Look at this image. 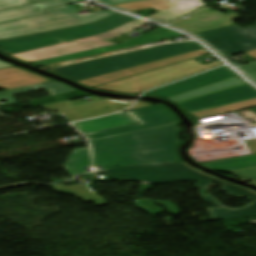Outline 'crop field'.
Returning a JSON list of instances; mask_svg holds the SVG:
<instances>
[{
	"label": "crop field",
	"instance_id": "11",
	"mask_svg": "<svg viewBox=\"0 0 256 256\" xmlns=\"http://www.w3.org/2000/svg\"><path fill=\"white\" fill-rule=\"evenodd\" d=\"M207 53H209V52L205 49L199 50V51H194V52L178 55V56H175L172 58H168V59H164V60H160V61H156V62H152V63H148V64H144V65H140V66H136V67H132V68H128V69H124V70H120V71H116V72H112V73H108V74H104V75H100V76H97L94 78L78 81L77 83H79L83 86L92 88V87L110 83V82H113L116 80H120L123 78L141 74L144 72H148V71H151L154 69L172 65V64H175L178 62H182V61H185L190 58H196V57H199V56L207 54Z\"/></svg>",
	"mask_w": 256,
	"mask_h": 256
},
{
	"label": "crop field",
	"instance_id": "38",
	"mask_svg": "<svg viewBox=\"0 0 256 256\" xmlns=\"http://www.w3.org/2000/svg\"><path fill=\"white\" fill-rule=\"evenodd\" d=\"M248 75H250L253 79L256 80V71L248 73Z\"/></svg>",
	"mask_w": 256,
	"mask_h": 256
},
{
	"label": "crop field",
	"instance_id": "24",
	"mask_svg": "<svg viewBox=\"0 0 256 256\" xmlns=\"http://www.w3.org/2000/svg\"><path fill=\"white\" fill-rule=\"evenodd\" d=\"M52 81L51 79L45 78L43 76L37 75L35 73L17 76L13 78H8L0 80V89L5 88L7 90L24 87L28 85L38 84L42 82Z\"/></svg>",
	"mask_w": 256,
	"mask_h": 256
},
{
	"label": "crop field",
	"instance_id": "16",
	"mask_svg": "<svg viewBox=\"0 0 256 256\" xmlns=\"http://www.w3.org/2000/svg\"><path fill=\"white\" fill-rule=\"evenodd\" d=\"M237 19L236 13L224 15L210 9L193 14L172 25L188 30L192 33L234 25L231 21Z\"/></svg>",
	"mask_w": 256,
	"mask_h": 256
},
{
	"label": "crop field",
	"instance_id": "35",
	"mask_svg": "<svg viewBox=\"0 0 256 256\" xmlns=\"http://www.w3.org/2000/svg\"><path fill=\"white\" fill-rule=\"evenodd\" d=\"M244 53L256 59V49Z\"/></svg>",
	"mask_w": 256,
	"mask_h": 256
},
{
	"label": "crop field",
	"instance_id": "30",
	"mask_svg": "<svg viewBox=\"0 0 256 256\" xmlns=\"http://www.w3.org/2000/svg\"><path fill=\"white\" fill-rule=\"evenodd\" d=\"M155 203L164 205L165 207H167L170 210V212H173L174 214L178 213V209L176 207H174V205L170 204V202H168V201L155 202Z\"/></svg>",
	"mask_w": 256,
	"mask_h": 256
},
{
	"label": "crop field",
	"instance_id": "33",
	"mask_svg": "<svg viewBox=\"0 0 256 256\" xmlns=\"http://www.w3.org/2000/svg\"><path fill=\"white\" fill-rule=\"evenodd\" d=\"M145 106H150V105L147 103H144V102H140V103L134 105L133 107H131L130 109H135V108H140V107H145ZM130 109H128V110H130Z\"/></svg>",
	"mask_w": 256,
	"mask_h": 256
},
{
	"label": "crop field",
	"instance_id": "39",
	"mask_svg": "<svg viewBox=\"0 0 256 256\" xmlns=\"http://www.w3.org/2000/svg\"><path fill=\"white\" fill-rule=\"evenodd\" d=\"M168 1H170V2H171V1H173V0H168Z\"/></svg>",
	"mask_w": 256,
	"mask_h": 256
},
{
	"label": "crop field",
	"instance_id": "37",
	"mask_svg": "<svg viewBox=\"0 0 256 256\" xmlns=\"http://www.w3.org/2000/svg\"><path fill=\"white\" fill-rule=\"evenodd\" d=\"M207 7H209L208 5H205V6H203V7H201V8H199V9H203V8H207ZM199 9H197V10H199ZM197 10H195V11H197ZM195 11H193V12H195ZM192 13V12H191ZM190 15V14H189ZM186 16V15H185ZM184 17V16H183ZM180 18H182V17H180ZM180 18H178V19H180ZM178 19H175V20H173V21H176V20H178ZM173 21H170V22H173ZM170 22H168V23H170Z\"/></svg>",
	"mask_w": 256,
	"mask_h": 256
},
{
	"label": "crop field",
	"instance_id": "5",
	"mask_svg": "<svg viewBox=\"0 0 256 256\" xmlns=\"http://www.w3.org/2000/svg\"><path fill=\"white\" fill-rule=\"evenodd\" d=\"M134 19L135 18L125 15L116 14L93 24L67 28L37 35L2 40L0 41V46H8L0 48V52L5 55H10L35 48L61 43V41L55 40L51 37H57L61 40H74L102 32H107L113 28L129 23Z\"/></svg>",
	"mask_w": 256,
	"mask_h": 256
},
{
	"label": "crop field",
	"instance_id": "9",
	"mask_svg": "<svg viewBox=\"0 0 256 256\" xmlns=\"http://www.w3.org/2000/svg\"><path fill=\"white\" fill-rule=\"evenodd\" d=\"M126 112L129 115H131L134 119H136L140 124L126 125L122 127L85 134L88 141L116 136L132 131L162 126L166 124L178 123L174 114L162 104L130 110Z\"/></svg>",
	"mask_w": 256,
	"mask_h": 256
},
{
	"label": "crop field",
	"instance_id": "27",
	"mask_svg": "<svg viewBox=\"0 0 256 256\" xmlns=\"http://www.w3.org/2000/svg\"><path fill=\"white\" fill-rule=\"evenodd\" d=\"M44 0H0V10L26 5V4H32L36 2H40Z\"/></svg>",
	"mask_w": 256,
	"mask_h": 256
},
{
	"label": "crop field",
	"instance_id": "22",
	"mask_svg": "<svg viewBox=\"0 0 256 256\" xmlns=\"http://www.w3.org/2000/svg\"><path fill=\"white\" fill-rule=\"evenodd\" d=\"M91 164L87 148L75 149L69 156L65 168L73 178L79 174L86 173L84 167Z\"/></svg>",
	"mask_w": 256,
	"mask_h": 256
},
{
	"label": "crop field",
	"instance_id": "12",
	"mask_svg": "<svg viewBox=\"0 0 256 256\" xmlns=\"http://www.w3.org/2000/svg\"><path fill=\"white\" fill-rule=\"evenodd\" d=\"M254 97H256V89L246 84L186 102L178 103V105H180L186 112L190 113Z\"/></svg>",
	"mask_w": 256,
	"mask_h": 256
},
{
	"label": "crop field",
	"instance_id": "17",
	"mask_svg": "<svg viewBox=\"0 0 256 256\" xmlns=\"http://www.w3.org/2000/svg\"><path fill=\"white\" fill-rule=\"evenodd\" d=\"M83 0H49L37 4L0 11V23L47 13L43 9L63 6Z\"/></svg>",
	"mask_w": 256,
	"mask_h": 256
},
{
	"label": "crop field",
	"instance_id": "25",
	"mask_svg": "<svg viewBox=\"0 0 256 256\" xmlns=\"http://www.w3.org/2000/svg\"><path fill=\"white\" fill-rule=\"evenodd\" d=\"M252 106H256V98L234 103V104H229L225 106H220V107H215L211 109L190 113V115L195 117L196 119H200V118H206V117H210V116H214V115H218V114H222V113H226V112H230L238 109H243L247 107H252Z\"/></svg>",
	"mask_w": 256,
	"mask_h": 256
},
{
	"label": "crop field",
	"instance_id": "31",
	"mask_svg": "<svg viewBox=\"0 0 256 256\" xmlns=\"http://www.w3.org/2000/svg\"><path fill=\"white\" fill-rule=\"evenodd\" d=\"M240 69H242L246 73L254 71V70H256V63L240 67Z\"/></svg>",
	"mask_w": 256,
	"mask_h": 256
},
{
	"label": "crop field",
	"instance_id": "32",
	"mask_svg": "<svg viewBox=\"0 0 256 256\" xmlns=\"http://www.w3.org/2000/svg\"><path fill=\"white\" fill-rule=\"evenodd\" d=\"M101 1L108 3L110 5H114L118 3L130 2V1H136V0H101Z\"/></svg>",
	"mask_w": 256,
	"mask_h": 256
},
{
	"label": "crop field",
	"instance_id": "28",
	"mask_svg": "<svg viewBox=\"0 0 256 256\" xmlns=\"http://www.w3.org/2000/svg\"><path fill=\"white\" fill-rule=\"evenodd\" d=\"M27 73H31V72L15 66L7 67V68L0 69V79L27 74Z\"/></svg>",
	"mask_w": 256,
	"mask_h": 256
},
{
	"label": "crop field",
	"instance_id": "13",
	"mask_svg": "<svg viewBox=\"0 0 256 256\" xmlns=\"http://www.w3.org/2000/svg\"><path fill=\"white\" fill-rule=\"evenodd\" d=\"M233 76H236V74L227 67H222L217 70L192 77L182 82L154 90L144 94L143 96H154L160 99H165L221 80L231 78Z\"/></svg>",
	"mask_w": 256,
	"mask_h": 256
},
{
	"label": "crop field",
	"instance_id": "15",
	"mask_svg": "<svg viewBox=\"0 0 256 256\" xmlns=\"http://www.w3.org/2000/svg\"><path fill=\"white\" fill-rule=\"evenodd\" d=\"M216 182L222 184V186H224L223 190L227 191L228 193L234 196L247 195L248 198L254 201L243 209L231 210L223 207L210 195L202 197L205 201L212 202L213 204H215L216 206H220L221 208H209L208 210L212 219L200 220V222L256 215V193L225 181L218 180Z\"/></svg>",
	"mask_w": 256,
	"mask_h": 256
},
{
	"label": "crop field",
	"instance_id": "8",
	"mask_svg": "<svg viewBox=\"0 0 256 256\" xmlns=\"http://www.w3.org/2000/svg\"><path fill=\"white\" fill-rule=\"evenodd\" d=\"M196 35L227 57L256 48V26L241 29L234 25Z\"/></svg>",
	"mask_w": 256,
	"mask_h": 256
},
{
	"label": "crop field",
	"instance_id": "40",
	"mask_svg": "<svg viewBox=\"0 0 256 256\" xmlns=\"http://www.w3.org/2000/svg\"><path fill=\"white\" fill-rule=\"evenodd\" d=\"M254 225H256V223H254Z\"/></svg>",
	"mask_w": 256,
	"mask_h": 256
},
{
	"label": "crop field",
	"instance_id": "34",
	"mask_svg": "<svg viewBox=\"0 0 256 256\" xmlns=\"http://www.w3.org/2000/svg\"><path fill=\"white\" fill-rule=\"evenodd\" d=\"M149 188H150V184L142 182L140 193L149 189Z\"/></svg>",
	"mask_w": 256,
	"mask_h": 256
},
{
	"label": "crop field",
	"instance_id": "19",
	"mask_svg": "<svg viewBox=\"0 0 256 256\" xmlns=\"http://www.w3.org/2000/svg\"><path fill=\"white\" fill-rule=\"evenodd\" d=\"M242 84H246V83L244 81L240 80L238 76H236L234 78H231V79H228V80H225L222 82H218V83H215V84H212V85H209V86H206V87H203V88H200V89L188 92V93H184V94L172 97V98H168L165 100H169L173 103H178V102L186 101V100L193 99L196 97H200L203 95H207L210 93H214L217 91H221V90H225V89L232 88L235 86H239Z\"/></svg>",
	"mask_w": 256,
	"mask_h": 256
},
{
	"label": "crop field",
	"instance_id": "10",
	"mask_svg": "<svg viewBox=\"0 0 256 256\" xmlns=\"http://www.w3.org/2000/svg\"><path fill=\"white\" fill-rule=\"evenodd\" d=\"M130 105L131 104L129 103L103 100L68 107V100H66L42 107L49 111L55 110L60 115H62L66 120L72 122L84 118L101 116L116 111H120L127 108Z\"/></svg>",
	"mask_w": 256,
	"mask_h": 256
},
{
	"label": "crop field",
	"instance_id": "21",
	"mask_svg": "<svg viewBox=\"0 0 256 256\" xmlns=\"http://www.w3.org/2000/svg\"><path fill=\"white\" fill-rule=\"evenodd\" d=\"M204 2L205 0H178L175 7L153 17V19L168 22L205 5Z\"/></svg>",
	"mask_w": 256,
	"mask_h": 256
},
{
	"label": "crop field",
	"instance_id": "4",
	"mask_svg": "<svg viewBox=\"0 0 256 256\" xmlns=\"http://www.w3.org/2000/svg\"><path fill=\"white\" fill-rule=\"evenodd\" d=\"M98 173L118 180H139L148 183L198 180L196 187L203 195L206 185L218 179L197 171L183 162L143 164L111 168Z\"/></svg>",
	"mask_w": 256,
	"mask_h": 256
},
{
	"label": "crop field",
	"instance_id": "7",
	"mask_svg": "<svg viewBox=\"0 0 256 256\" xmlns=\"http://www.w3.org/2000/svg\"><path fill=\"white\" fill-rule=\"evenodd\" d=\"M147 24V22H142L138 19L135 21L126 24L124 26L118 27L108 33H102L74 41H69L66 43H61L53 46H48L40 49H35L15 55H11L14 58H17L26 63L33 61H40L44 59H49L53 57H58L62 55H67L71 53L81 52L85 50L106 47L115 45V43L110 40L127 34L133 30H136Z\"/></svg>",
	"mask_w": 256,
	"mask_h": 256
},
{
	"label": "crop field",
	"instance_id": "20",
	"mask_svg": "<svg viewBox=\"0 0 256 256\" xmlns=\"http://www.w3.org/2000/svg\"><path fill=\"white\" fill-rule=\"evenodd\" d=\"M40 88L46 89L50 95L74 90L73 88L66 86L60 82L52 81V82H47V83H43V84H38V85H33V86H29V87H24V88H19V89H15V90L2 92V93H0V101L1 100L8 101V102L4 103V105L13 104V103H15V101L12 97L14 94L31 91V90H35V89H40Z\"/></svg>",
	"mask_w": 256,
	"mask_h": 256
},
{
	"label": "crop field",
	"instance_id": "26",
	"mask_svg": "<svg viewBox=\"0 0 256 256\" xmlns=\"http://www.w3.org/2000/svg\"><path fill=\"white\" fill-rule=\"evenodd\" d=\"M172 5H174V4L169 3L166 0H141V1H136V2L118 4V5H114V6L123 8L125 10H129V11L153 8L160 12Z\"/></svg>",
	"mask_w": 256,
	"mask_h": 256
},
{
	"label": "crop field",
	"instance_id": "2",
	"mask_svg": "<svg viewBox=\"0 0 256 256\" xmlns=\"http://www.w3.org/2000/svg\"><path fill=\"white\" fill-rule=\"evenodd\" d=\"M198 49H202V47L195 42L175 43L86 61L48 71L72 79L74 81H78L107 72L172 57Z\"/></svg>",
	"mask_w": 256,
	"mask_h": 256
},
{
	"label": "crop field",
	"instance_id": "14",
	"mask_svg": "<svg viewBox=\"0 0 256 256\" xmlns=\"http://www.w3.org/2000/svg\"><path fill=\"white\" fill-rule=\"evenodd\" d=\"M178 36H182V34H179L174 31H170L163 27H159L151 32L143 34L139 37H136L134 39H131V40L126 41L119 45L90 50V51L76 53V54H71V55L53 58V59H49V60H44V61L32 63L31 65H33L35 67H39V66H44V65H48V64H53V63H58V62H62V61H67V60H72V59H76V58H81V57H86V56H90V55L109 52V51H113V50L132 47V46H136V45H141V44H145V43L164 40V39H168V38L178 37Z\"/></svg>",
	"mask_w": 256,
	"mask_h": 256
},
{
	"label": "crop field",
	"instance_id": "3",
	"mask_svg": "<svg viewBox=\"0 0 256 256\" xmlns=\"http://www.w3.org/2000/svg\"><path fill=\"white\" fill-rule=\"evenodd\" d=\"M58 9L61 11L57 12ZM45 11L48 14L1 24L0 40L92 23L115 14L106 10L79 15L73 4Z\"/></svg>",
	"mask_w": 256,
	"mask_h": 256
},
{
	"label": "crop field",
	"instance_id": "18",
	"mask_svg": "<svg viewBox=\"0 0 256 256\" xmlns=\"http://www.w3.org/2000/svg\"><path fill=\"white\" fill-rule=\"evenodd\" d=\"M131 116L126 112L110 115L106 117L96 118L88 121L72 124L82 134L108 129L112 127L122 126L126 124H137Z\"/></svg>",
	"mask_w": 256,
	"mask_h": 256
},
{
	"label": "crop field",
	"instance_id": "36",
	"mask_svg": "<svg viewBox=\"0 0 256 256\" xmlns=\"http://www.w3.org/2000/svg\"><path fill=\"white\" fill-rule=\"evenodd\" d=\"M7 66H11V65L0 61V68L7 67Z\"/></svg>",
	"mask_w": 256,
	"mask_h": 256
},
{
	"label": "crop field",
	"instance_id": "23",
	"mask_svg": "<svg viewBox=\"0 0 256 256\" xmlns=\"http://www.w3.org/2000/svg\"><path fill=\"white\" fill-rule=\"evenodd\" d=\"M57 192L73 193L77 197L82 198L84 202L95 200L98 205L107 204L106 200L93 192L88 185H76L64 187L62 185H54Z\"/></svg>",
	"mask_w": 256,
	"mask_h": 256
},
{
	"label": "crop field",
	"instance_id": "29",
	"mask_svg": "<svg viewBox=\"0 0 256 256\" xmlns=\"http://www.w3.org/2000/svg\"><path fill=\"white\" fill-rule=\"evenodd\" d=\"M136 205L140 209H142L150 214H157L162 211L158 207L150 204L149 200L136 201Z\"/></svg>",
	"mask_w": 256,
	"mask_h": 256
},
{
	"label": "crop field",
	"instance_id": "1",
	"mask_svg": "<svg viewBox=\"0 0 256 256\" xmlns=\"http://www.w3.org/2000/svg\"><path fill=\"white\" fill-rule=\"evenodd\" d=\"M179 124V123H178ZM178 124L91 141L94 164L103 169L122 165L180 161Z\"/></svg>",
	"mask_w": 256,
	"mask_h": 256
},
{
	"label": "crop field",
	"instance_id": "6",
	"mask_svg": "<svg viewBox=\"0 0 256 256\" xmlns=\"http://www.w3.org/2000/svg\"><path fill=\"white\" fill-rule=\"evenodd\" d=\"M220 61L209 64H202L195 59L187 60L172 66L154 70L148 73L123 79L117 82L99 86L96 90L113 92V93H127L138 94L140 92L203 72L205 70L222 65Z\"/></svg>",
	"mask_w": 256,
	"mask_h": 256
}]
</instances>
